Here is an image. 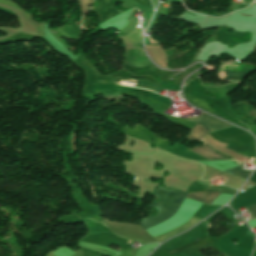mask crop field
<instances>
[{
  "mask_svg": "<svg viewBox=\"0 0 256 256\" xmlns=\"http://www.w3.org/2000/svg\"><path fill=\"white\" fill-rule=\"evenodd\" d=\"M130 242H131V241H130ZM130 242H129V243H130Z\"/></svg>",
  "mask_w": 256,
  "mask_h": 256,
  "instance_id": "d1516ede",
  "label": "crop field"
},
{
  "mask_svg": "<svg viewBox=\"0 0 256 256\" xmlns=\"http://www.w3.org/2000/svg\"><path fill=\"white\" fill-rule=\"evenodd\" d=\"M190 121L200 124L201 126L206 128L208 130V132L214 131L217 129H221V128H225L228 126H232V125H230L226 122H223V121H221L213 116H210V115L203 116V117L193 119Z\"/></svg>",
  "mask_w": 256,
  "mask_h": 256,
  "instance_id": "34b2d1b8",
  "label": "crop field"
},
{
  "mask_svg": "<svg viewBox=\"0 0 256 256\" xmlns=\"http://www.w3.org/2000/svg\"><path fill=\"white\" fill-rule=\"evenodd\" d=\"M226 77H232V76H246L250 72H241V73H230V72H224ZM223 72H219L220 77H225Z\"/></svg>",
  "mask_w": 256,
  "mask_h": 256,
  "instance_id": "d8731c3e",
  "label": "crop field"
},
{
  "mask_svg": "<svg viewBox=\"0 0 256 256\" xmlns=\"http://www.w3.org/2000/svg\"><path fill=\"white\" fill-rule=\"evenodd\" d=\"M124 44L126 47V58H125L124 64L132 67H135V64H136V68H142V67L153 65L145 55L142 49V45L137 43H133L134 55H135V64H134L132 43L124 42Z\"/></svg>",
  "mask_w": 256,
  "mask_h": 256,
  "instance_id": "ac0d7876",
  "label": "crop field"
},
{
  "mask_svg": "<svg viewBox=\"0 0 256 256\" xmlns=\"http://www.w3.org/2000/svg\"><path fill=\"white\" fill-rule=\"evenodd\" d=\"M185 14H187V13H185ZM187 15H190V14H187ZM190 16H192V17H193V15H190Z\"/></svg>",
  "mask_w": 256,
  "mask_h": 256,
  "instance_id": "28ad6ade",
  "label": "crop field"
},
{
  "mask_svg": "<svg viewBox=\"0 0 256 256\" xmlns=\"http://www.w3.org/2000/svg\"><path fill=\"white\" fill-rule=\"evenodd\" d=\"M221 192H195L188 193L187 198L210 204L220 196Z\"/></svg>",
  "mask_w": 256,
  "mask_h": 256,
  "instance_id": "412701ff",
  "label": "crop field"
},
{
  "mask_svg": "<svg viewBox=\"0 0 256 256\" xmlns=\"http://www.w3.org/2000/svg\"><path fill=\"white\" fill-rule=\"evenodd\" d=\"M75 24L78 25L79 27H80V25H81L80 23H75Z\"/></svg>",
  "mask_w": 256,
  "mask_h": 256,
  "instance_id": "3316defc",
  "label": "crop field"
},
{
  "mask_svg": "<svg viewBox=\"0 0 256 256\" xmlns=\"http://www.w3.org/2000/svg\"><path fill=\"white\" fill-rule=\"evenodd\" d=\"M149 44H153L152 40L149 38Z\"/></svg>",
  "mask_w": 256,
  "mask_h": 256,
  "instance_id": "5a996713",
  "label": "crop field"
},
{
  "mask_svg": "<svg viewBox=\"0 0 256 256\" xmlns=\"http://www.w3.org/2000/svg\"><path fill=\"white\" fill-rule=\"evenodd\" d=\"M79 1L82 8V14L84 15L91 8V7H88V5H90L93 2V0H79Z\"/></svg>",
  "mask_w": 256,
  "mask_h": 256,
  "instance_id": "e52e79f7",
  "label": "crop field"
},
{
  "mask_svg": "<svg viewBox=\"0 0 256 256\" xmlns=\"http://www.w3.org/2000/svg\"><path fill=\"white\" fill-rule=\"evenodd\" d=\"M171 192H172V190H166L162 187H158L156 189V191L154 192V195L157 196L159 198V200L156 203H153L151 206L156 207L157 210L160 211V209L165 205L166 201L168 200ZM186 194L187 193H184L183 196L181 197L182 192H178V191L173 190V192H172L169 200L167 201L166 205L162 208V210L158 213L157 216L142 218V220H141L142 227L147 225V224L158 221V220L164 218L165 216H167L169 213H171L172 210L175 208L177 202L179 201L180 197H181V199H180L179 203L177 204L176 208L174 209V211L170 215H168L167 217H165L164 219H162L158 222H155L153 224H150V225L144 227V229L155 226V225L171 218L172 216H174L176 214L177 210L179 209L181 203L183 202Z\"/></svg>",
  "mask_w": 256,
  "mask_h": 256,
  "instance_id": "8a807250",
  "label": "crop field"
},
{
  "mask_svg": "<svg viewBox=\"0 0 256 256\" xmlns=\"http://www.w3.org/2000/svg\"><path fill=\"white\" fill-rule=\"evenodd\" d=\"M225 172H228V173L234 174L236 176L247 179V177L252 172V170H243V169H240L239 167H237V168L225 171Z\"/></svg>",
  "mask_w": 256,
  "mask_h": 256,
  "instance_id": "f4fd0767",
  "label": "crop field"
},
{
  "mask_svg": "<svg viewBox=\"0 0 256 256\" xmlns=\"http://www.w3.org/2000/svg\"><path fill=\"white\" fill-rule=\"evenodd\" d=\"M138 87L147 88V89L153 90L158 93H160V91H161V89L158 86L154 85L151 82L139 81Z\"/></svg>",
  "mask_w": 256,
  "mask_h": 256,
  "instance_id": "dd49c442",
  "label": "crop field"
}]
</instances>
